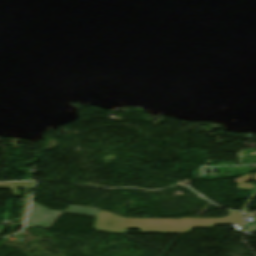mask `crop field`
Returning <instances> with one entry per match:
<instances>
[{"label":"crop field","instance_id":"8a807250","mask_svg":"<svg viewBox=\"0 0 256 256\" xmlns=\"http://www.w3.org/2000/svg\"><path fill=\"white\" fill-rule=\"evenodd\" d=\"M230 221H227V220ZM213 224H233L239 231H243L244 223L241 213L229 211V215L222 219H199L182 218L179 219L180 233L190 232L191 227H213ZM189 227V228H187Z\"/></svg>","mask_w":256,"mask_h":256},{"label":"crop field","instance_id":"ac0d7876","mask_svg":"<svg viewBox=\"0 0 256 256\" xmlns=\"http://www.w3.org/2000/svg\"><path fill=\"white\" fill-rule=\"evenodd\" d=\"M126 228H141L140 232L179 233L178 219H128Z\"/></svg>","mask_w":256,"mask_h":256},{"label":"crop field","instance_id":"34b2d1b8","mask_svg":"<svg viewBox=\"0 0 256 256\" xmlns=\"http://www.w3.org/2000/svg\"><path fill=\"white\" fill-rule=\"evenodd\" d=\"M61 213L50 211L32 202L26 226L50 228Z\"/></svg>","mask_w":256,"mask_h":256},{"label":"crop field","instance_id":"412701ff","mask_svg":"<svg viewBox=\"0 0 256 256\" xmlns=\"http://www.w3.org/2000/svg\"><path fill=\"white\" fill-rule=\"evenodd\" d=\"M63 212L97 216L99 209L80 207V206H70Z\"/></svg>","mask_w":256,"mask_h":256},{"label":"crop field","instance_id":"f4fd0767","mask_svg":"<svg viewBox=\"0 0 256 256\" xmlns=\"http://www.w3.org/2000/svg\"><path fill=\"white\" fill-rule=\"evenodd\" d=\"M251 176H254L255 178H251ZM248 179H254L256 180V174L255 175H251V174H246L234 181L238 182V188L240 189H255L254 185L252 183H244L245 181H247Z\"/></svg>","mask_w":256,"mask_h":256},{"label":"crop field","instance_id":"dd49c442","mask_svg":"<svg viewBox=\"0 0 256 256\" xmlns=\"http://www.w3.org/2000/svg\"><path fill=\"white\" fill-rule=\"evenodd\" d=\"M246 232L256 233V225H247Z\"/></svg>","mask_w":256,"mask_h":256},{"label":"crop field","instance_id":"e52e79f7","mask_svg":"<svg viewBox=\"0 0 256 256\" xmlns=\"http://www.w3.org/2000/svg\"><path fill=\"white\" fill-rule=\"evenodd\" d=\"M248 210H249V209H245V210H244V213H245V214H248Z\"/></svg>","mask_w":256,"mask_h":256}]
</instances>
